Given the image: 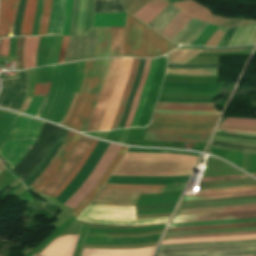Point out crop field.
Listing matches in <instances>:
<instances>
[{
    "mask_svg": "<svg viewBox=\"0 0 256 256\" xmlns=\"http://www.w3.org/2000/svg\"><path fill=\"white\" fill-rule=\"evenodd\" d=\"M108 64L109 59L85 61V76L81 91L76 94L63 126L84 132L96 105Z\"/></svg>",
    "mask_w": 256,
    "mask_h": 256,
    "instance_id": "obj_3",
    "label": "crop field"
},
{
    "mask_svg": "<svg viewBox=\"0 0 256 256\" xmlns=\"http://www.w3.org/2000/svg\"><path fill=\"white\" fill-rule=\"evenodd\" d=\"M173 4L177 6L179 9H181L184 13L196 19H199L211 24H215V25H219L227 28H236L241 22V19H225V18L213 16L211 15L209 10H207L203 6L191 0H186L183 2H177Z\"/></svg>",
    "mask_w": 256,
    "mask_h": 256,
    "instance_id": "obj_17",
    "label": "crop field"
},
{
    "mask_svg": "<svg viewBox=\"0 0 256 256\" xmlns=\"http://www.w3.org/2000/svg\"><path fill=\"white\" fill-rule=\"evenodd\" d=\"M105 187L122 188V189H163L165 188V186H153V185H113V184H106Z\"/></svg>",
    "mask_w": 256,
    "mask_h": 256,
    "instance_id": "obj_52",
    "label": "crop field"
},
{
    "mask_svg": "<svg viewBox=\"0 0 256 256\" xmlns=\"http://www.w3.org/2000/svg\"><path fill=\"white\" fill-rule=\"evenodd\" d=\"M219 128L256 133V128H250V127L220 125Z\"/></svg>",
    "mask_w": 256,
    "mask_h": 256,
    "instance_id": "obj_62",
    "label": "crop field"
},
{
    "mask_svg": "<svg viewBox=\"0 0 256 256\" xmlns=\"http://www.w3.org/2000/svg\"><path fill=\"white\" fill-rule=\"evenodd\" d=\"M156 61H157V59H152V61H151V66H150L149 75H148V78H147V80H146L144 89H143V91H142V94H141V97H140V101H139V105H138V108H137V111H136V115H135V118H134V120H133V123H132V126H131V127H136V126H137L140 113H141L142 108H143V105H144V103H145L146 92H147L148 87H149V85H150V83H151V81H152L154 69H155V66H156Z\"/></svg>",
    "mask_w": 256,
    "mask_h": 256,
    "instance_id": "obj_39",
    "label": "crop field"
},
{
    "mask_svg": "<svg viewBox=\"0 0 256 256\" xmlns=\"http://www.w3.org/2000/svg\"><path fill=\"white\" fill-rule=\"evenodd\" d=\"M133 58H122V65L119 73V77L115 88L113 90L110 102L107 107V111L101 123L99 131L110 130L112 122L115 118L116 111L121 102L122 93L130 74Z\"/></svg>",
    "mask_w": 256,
    "mask_h": 256,
    "instance_id": "obj_14",
    "label": "crop field"
},
{
    "mask_svg": "<svg viewBox=\"0 0 256 256\" xmlns=\"http://www.w3.org/2000/svg\"><path fill=\"white\" fill-rule=\"evenodd\" d=\"M75 136H76V133L70 132V131L68 132L67 137L65 139V142L62 145V147L60 148L59 152L53 158V160L51 161L49 166L46 168V170L40 175V177L37 180H35L29 186L28 190L32 189V190L35 191L39 187V185L48 177V175L53 171V169L55 168V166L57 165V163L59 162V160L61 159V157L63 156V154L65 153V151L67 150V148L69 147L70 143L72 142V140L74 139ZM80 138H81V135L77 134V136L73 140L72 144L70 145V147L68 148V150L66 151V153L64 154V156L62 157V159L60 160L58 165L56 166V168L54 169V171L49 175V177L35 191L36 193H38L40 195V193H42L44 188L56 176L57 172L60 170V168L66 162V160L69 158L70 154L74 151V149H75L78 141L80 140Z\"/></svg>",
    "mask_w": 256,
    "mask_h": 256,
    "instance_id": "obj_13",
    "label": "crop field"
},
{
    "mask_svg": "<svg viewBox=\"0 0 256 256\" xmlns=\"http://www.w3.org/2000/svg\"><path fill=\"white\" fill-rule=\"evenodd\" d=\"M91 141H92V138L82 136L72 156L69 158L67 163L62 167V169L54 178V180L45 188L42 194L52 196L56 192V190L68 178L70 173L76 167L77 163L83 157Z\"/></svg>",
    "mask_w": 256,
    "mask_h": 256,
    "instance_id": "obj_18",
    "label": "crop field"
},
{
    "mask_svg": "<svg viewBox=\"0 0 256 256\" xmlns=\"http://www.w3.org/2000/svg\"><path fill=\"white\" fill-rule=\"evenodd\" d=\"M33 256H39V255L34 254Z\"/></svg>",
    "mask_w": 256,
    "mask_h": 256,
    "instance_id": "obj_74",
    "label": "crop field"
},
{
    "mask_svg": "<svg viewBox=\"0 0 256 256\" xmlns=\"http://www.w3.org/2000/svg\"><path fill=\"white\" fill-rule=\"evenodd\" d=\"M248 197H256V196H248ZM248 197H238V198H248ZM238 198H227V199H238ZM217 200H226V199H217ZM205 201H214V200H205ZM191 202H202V201H189V202H181V203H191Z\"/></svg>",
    "mask_w": 256,
    "mask_h": 256,
    "instance_id": "obj_70",
    "label": "crop field"
},
{
    "mask_svg": "<svg viewBox=\"0 0 256 256\" xmlns=\"http://www.w3.org/2000/svg\"><path fill=\"white\" fill-rule=\"evenodd\" d=\"M42 8H43V0H38L37 12H36V16H35V22H34V28H33L32 36L37 35L38 32H39V25H40V21H41Z\"/></svg>",
    "mask_w": 256,
    "mask_h": 256,
    "instance_id": "obj_54",
    "label": "crop field"
},
{
    "mask_svg": "<svg viewBox=\"0 0 256 256\" xmlns=\"http://www.w3.org/2000/svg\"><path fill=\"white\" fill-rule=\"evenodd\" d=\"M179 11V9H177L175 6L171 4L162 14H160L148 26H150L151 28L160 33L171 22V20L177 15Z\"/></svg>",
    "mask_w": 256,
    "mask_h": 256,
    "instance_id": "obj_34",
    "label": "crop field"
},
{
    "mask_svg": "<svg viewBox=\"0 0 256 256\" xmlns=\"http://www.w3.org/2000/svg\"><path fill=\"white\" fill-rule=\"evenodd\" d=\"M170 217L135 220V207H111L91 205L77 217V220L110 225H144L167 223Z\"/></svg>",
    "mask_w": 256,
    "mask_h": 256,
    "instance_id": "obj_8",
    "label": "crop field"
},
{
    "mask_svg": "<svg viewBox=\"0 0 256 256\" xmlns=\"http://www.w3.org/2000/svg\"><path fill=\"white\" fill-rule=\"evenodd\" d=\"M256 240L248 241H227V242H207L194 244H173L161 246L160 249L172 247H188V246H208L223 244H242L254 243ZM256 255V243L243 245H223L209 247H189V248H172L159 251L158 256H248Z\"/></svg>",
    "mask_w": 256,
    "mask_h": 256,
    "instance_id": "obj_6",
    "label": "crop field"
},
{
    "mask_svg": "<svg viewBox=\"0 0 256 256\" xmlns=\"http://www.w3.org/2000/svg\"><path fill=\"white\" fill-rule=\"evenodd\" d=\"M207 25V23L192 18L186 27L172 40V42L177 45H190V43L205 29Z\"/></svg>",
    "mask_w": 256,
    "mask_h": 256,
    "instance_id": "obj_23",
    "label": "crop field"
},
{
    "mask_svg": "<svg viewBox=\"0 0 256 256\" xmlns=\"http://www.w3.org/2000/svg\"><path fill=\"white\" fill-rule=\"evenodd\" d=\"M236 29H228L224 37L221 39L217 47H227L231 37L233 36Z\"/></svg>",
    "mask_w": 256,
    "mask_h": 256,
    "instance_id": "obj_61",
    "label": "crop field"
},
{
    "mask_svg": "<svg viewBox=\"0 0 256 256\" xmlns=\"http://www.w3.org/2000/svg\"><path fill=\"white\" fill-rule=\"evenodd\" d=\"M162 193V190H114L102 188L91 204L135 206L140 194Z\"/></svg>",
    "mask_w": 256,
    "mask_h": 256,
    "instance_id": "obj_15",
    "label": "crop field"
},
{
    "mask_svg": "<svg viewBox=\"0 0 256 256\" xmlns=\"http://www.w3.org/2000/svg\"><path fill=\"white\" fill-rule=\"evenodd\" d=\"M190 19L191 17L181 11L174 21L161 33V35L171 41L185 27Z\"/></svg>",
    "mask_w": 256,
    "mask_h": 256,
    "instance_id": "obj_36",
    "label": "crop field"
},
{
    "mask_svg": "<svg viewBox=\"0 0 256 256\" xmlns=\"http://www.w3.org/2000/svg\"><path fill=\"white\" fill-rule=\"evenodd\" d=\"M166 57L163 56L158 59L153 81L147 93L146 103L141 114L138 127H145L148 125L152 111L154 109L159 88L162 84L163 76L165 73Z\"/></svg>",
    "mask_w": 256,
    "mask_h": 256,
    "instance_id": "obj_19",
    "label": "crop field"
},
{
    "mask_svg": "<svg viewBox=\"0 0 256 256\" xmlns=\"http://www.w3.org/2000/svg\"><path fill=\"white\" fill-rule=\"evenodd\" d=\"M254 217H256V211L214 213V214H198V215H187V216L175 217L172 224L188 223V222H199V221H214V220L254 218Z\"/></svg>",
    "mask_w": 256,
    "mask_h": 256,
    "instance_id": "obj_20",
    "label": "crop field"
},
{
    "mask_svg": "<svg viewBox=\"0 0 256 256\" xmlns=\"http://www.w3.org/2000/svg\"><path fill=\"white\" fill-rule=\"evenodd\" d=\"M40 37H26L24 48V69L36 67L35 53Z\"/></svg>",
    "mask_w": 256,
    "mask_h": 256,
    "instance_id": "obj_33",
    "label": "crop field"
},
{
    "mask_svg": "<svg viewBox=\"0 0 256 256\" xmlns=\"http://www.w3.org/2000/svg\"><path fill=\"white\" fill-rule=\"evenodd\" d=\"M250 234H256V231H252V232H237V233H224V234H209V235L177 236V237H167V238H164V240H170V239H182V238H196V237H214V236L250 235Z\"/></svg>",
    "mask_w": 256,
    "mask_h": 256,
    "instance_id": "obj_49",
    "label": "crop field"
},
{
    "mask_svg": "<svg viewBox=\"0 0 256 256\" xmlns=\"http://www.w3.org/2000/svg\"><path fill=\"white\" fill-rule=\"evenodd\" d=\"M95 41L96 28L84 37H70L64 62L94 58Z\"/></svg>",
    "mask_w": 256,
    "mask_h": 256,
    "instance_id": "obj_16",
    "label": "crop field"
},
{
    "mask_svg": "<svg viewBox=\"0 0 256 256\" xmlns=\"http://www.w3.org/2000/svg\"><path fill=\"white\" fill-rule=\"evenodd\" d=\"M169 4L168 0H152L133 15L148 24Z\"/></svg>",
    "mask_w": 256,
    "mask_h": 256,
    "instance_id": "obj_28",
    "label": "crop field"
},
{
    "mask_svg": "<svg viewBox=\"0 0 256 256\" xmlns=\"http://www.w3.org/2000/svg\"><path fill=\"white\" fill-rule=\"evenodd\" d=\"M153 249L154 247L133 250L85 249L83 256H149Z\"/></svg>",
    "mask_w": 256,
    "mask_h": 256,
    "instance_id": "obj_27",
    "label": "crop field"
},
{
    "mask_svg": "<svg viewBox=\"0 0 256 256\" xmlns=\"http://www.w3.org/2000/svg\"><path fill=\"white\" fill-rule=\"evenodd\" d=\"M65 14V0H53L47 35H61Z\"/></svg>",
    "mask_w": 256,
    "mask_h": 256,
    "instance_id": "obj_24",
    "label": "crop field"
},
{
    "mask_svg": "<svg viewBox=\"0 0 256 256\" xmlns=\"http://www.w3.org/2000/svg\"><path fill=\"white\" fill-rule=\"evenodd\" d=\"M4 170H6L5 168H3L2 167V165L0 166V173L2 172V171H4ZM3 173V172H2Z\"/></svg>",
    "mask_w": 256,
    "mask_h": 256,
    "instance_id": "obj_71",
    "label": "crop field"
},
{
    "mask_svg": "<svg viewBox=\"0 0 256 256\" xmlns=\"http://www.w3.org/2000/svg\"><path fill=\"white\" fill-rule=\"evenodd\" d=\"M173 50V44L136 18L127 14L123 56L158 57Z\"/></svg>",
    "mask_w": 256,
    "mask_h": 256,
    "instance_id": "obj_5",
    "label": "crop field"
},
{
    "mask_svg": "<svg viewBox=\"0 0 256 256\" xmlns=\"http://www.w3.org/2000/svg\"><path fill=\"white\" fill-rule=\"evenodd\" d=\"M79 5H80V0H74L73 10H72V18H71V28H70V35H72V36H76V34H77Z\"/></svg>",
    "mask_w": 256,
    "mask_h": 256,
    "instance_id": "obj_48",
    "label": "crop field"
},
{
    "mask_svg": "<svg viewBox=\"0 0 256 256\" xmlns=\"http://www.w3.org/2000/svg\"><path fill=\"white\" fill-rule=\"evenodd\" d=\"M121 146L109 144L104 155L99 160L98 164L91 172L90 176L85 180V182L80 186L78 191L63 205L70 207L75 210V208L81 203V201L89 194V192L94 188L97 182L100 180L102 175L105 173L110 163L116 157Z\"/></svg>",
    "mask_w": 256,
    "mask_h": 256,
    "instance_id": "obj_10",
    "label": "crop field"
},
{
    "mask_svg": "<svg viewBox=\"0 0 256 256\" xmlns=\"http://www.w3.org/2000/svg\"><path fill=\"white\" fill-rule=\"evenodd\" d=\"M126 149H127V147L122 146L119 154L114 159V161L111 163V165L108 168V170L105 173V175L101 178V180L98 182V184L95 186V188L90 192V194L77 207V209L71 213V216L76 218L84 210V208L89 204V202L93 199V197L96 195V193L102 187V185L107 181L108 177L111 175L112 171L114 170L116 165L119 163V161L122 158V156L125 154Z\"/></svg>",
    "mask_w": 256,
    "mask_h": 256,
    "instance_id": "obj_25",
    "label": "crop field"
},
{
    "mask_svg": "<svg viewBox=\"0 0 256 256\" xmlns=\"http://www.w3.org/2000/svg\"><path fill=\"white\" fill-rule=\"evenodd\" d=\"M31 99H32V97H27L26 98V101H25L24 105L21 107L20 112L24 113L26 111Z\"/></svg>",
    "mask_w": 256,
    "mask_h": 256,
    "instance_id": "obj_69",
    "label": "crop field"
},
{
    "mask_svg": "<svg viewBox=\"0 0 256 256\" xmlns=\"http://www.w3.org/2000/svg\"><path fill=\"white\" fill-rule=\"evenodd\" d=\"M9 38L4 39L1 54L2 56H8Z\"/></svg>",
    "mask_w": 256,
    "mask_h": 256,
    "instance_id": "obj_67",
    "label": "crop field"
},
{
    "mask_svg": "<svg viewBox=\"0 0 256 256\" xmlns=\"http://www.w3.org/2000/svg\"><path fill=\"white\" fill-rule=\"evenodd\" d=\"M155 112L167 113V114H194V115H220L221 114V112H209V111L190 112V111L155 110Z\"/></svg>",
    "mask_w": 256,
    "mask_h": 256,
    "instance_id": "obj_55",
    "label": "crop field"
},
{
    "mask_svg": "<svg viewBox=\"0 0 256 256\" xmlns=\"http://www.w3.org/2000/svg\"><path fill=\"white\" fill-rule=\"evenodd\" d=\"M197 156L127 152L113 175H190Z\"/></svg>",
    "mask_w": 256,
    "mask_h": 256,
    "instance_id": "obj_2",
    "label": "crop field"
},
{
    "mask_svg": "<svg viewBox=\"0 0 256 256\" xmlns=\"http://www.w3.org/2000/svg\"><path fill=\"white\" fill-rule=\"evenodd\" d=\"M246 230H256V228H244V229H226V230H209V231H191V232H178L166 234V236L173 235H186V234H204V233H221V232H234V231H246Z\"/></svg>",
    "mask_w": 256,
    "mask_h": 256,
    "instance_id": "obj_50",
    "label": "crop field"
},
{
    "mask_svg": "<svg viewBox=\"0 0 256 256\" xmlns=\"http://www.w3.org/2000/svg\"><path fill=\"white\" fill-rule=\"evenodd\" d=\"M156 109L190 110V111H200V110L216 111L213 104H187V103H166V102H158Z\"/></svg>",
    "mask_w": 256,
    "mask_h": 256,
    "instance_id": "obj_32",
    "label": "crop field"
},
{
    "mask_svg": "<svg viewBox=\"0 0 256 256\" xmlns=\"http://www.w3.org/2000/svg\"><path fill=\"white\" fill-rule=\"evenodd\" d=\"M255 238L256 236H234V237H216V238L187 239V240H171V241H163L161 245L172 244V243H188V242L245 240V239H255Z\"/></svg>",
    "mask_w": 256,
    "mask_h": 256,
    "instance_id": "obj_43",
    "label": "crop field"
},
{
    "mask_svg": "<svg viewBox=\"0 0 256 256\" xmlns=\"http://www.w3.org/2000/svg\"><path fill=\"white\" fill-rule=\"evenodd\" d=\"M52 0H44V10L39 35H46Z\"/></svg>",
    "mask_w": 256,
    "mask_h": 256,
    "instance_id": "obj_47",
    "label": "crop field"
},
{
    "mask_svg": "<svg viewBox=\"0 0 256 256\" xmlns=\"http://www.w3.org/2000/svg\"><path fill=\"white\" fill-rule=\"evenodd\" d=\"M2 41H3V39L1 40V44H0V51H1V47H2Z\"/></svg>",
    "mask_w": 256,
    "mask_h": 256,
    "instance_id": "obj_72",
    "label": "crop field"
},
{
    "mask_svg": "<svg viewBox=\"0 0 256 256\" xmlns=\"http://www.w3.org/2000/svg\"><path fill=\"white\" fill-rule=\"evenodd\" d=\"M256 41V23L240 27L236 30L228 47L250 45Z\"/></svg>",
    "mask_w": 256,
    "mask_h": 256,
    "instance_id": "obj_29",
    "label": "crop field"
},
{
    "mask_svg": "<svg viewBox=\"0 0 256 256\" xmlns=\"http://www.w3.org/2000/svg\"><path fill=\"white\" fill-rule=\"evenodd\" d=\"M86 5H87V0H81L79 23H78V35L77 36H83V33H84Z\"/></svg>",
    "mask_w": 256,
    "mask_h": 256,
    "instance_id": "obj_53",
    "label": "crop field"
},
{
    "mask_svg": "<svg viewBox=\"0 0 256 256\" xmlns=\"http://www.w3.org/2000/svg\"><path fill=\"white\" fill-rule=\"evenodd\" d=\"M121 65V58H112L110 59V64L108 72L105 78L104 86L101 91V94L98 98L97 106L91 117V121L86 129V131H97L101 120L104 116L107 103L110 99L113 87L118 77L119 69Z\"/></svg>",
    "mask_w": 256,
    "mask_h": 256,
    "instance_id": "obj_11",
    "label": "crop field"
},
{
    "mask_svg": "<svg viewBox=\"0 0 256 256\" xmlns=\"http://www.w3.org/2000/svg\"><path fill=\"white\" fill-rule=\"evenodd\" d=\"M245 47H252V46H244ZM181 48H198V47H181ZM212 49V48H208ZM208 49H198L200 52H235V51H247L252 50V48L246 49H229V50H208ZM228 49V48H224ZM197 49H178L170 54H168V64H184L189 61L191 58L196 56L198 53Z\"/></svg>",
    "mask_w": 256,
    "mask_h": 256,
    "instance_id": "obj_22",
    "label": "crop field"
},
{
    "mask_svg": "<svg viewBox=\"0 0 256 256\" xmlns=\"http://www.w3.org/2000/svg\"><path fill=\"white\" fill-rule=\"evenodd\" d=\"M78 238L74 235L57 238L40 254L43 256H72Z\"/></svg>",
    "mask_w": 256,
    "mask_h": 256,
    "instance_id": "obj_21",
    "label": "crop field"
},
{
    "mask_svg": "<svg viewBox=\"0 0 256 256\" xmlns=\"http://www.w3.org/2000/svg\"><path fill=\"white\" fill-rule=\"evenodd\" d=\"M248 226H256V223L231 224V225H215V226H200V227H189V228H174V229H168L167 232L190 231V230H204V229H219V228H233V227H248Z\"/></svg>",
    "mask_w": 256,
    "mask_h": 256,
    "instance_id": "obj_45",
    "label": "crop field"
},
{
    "mask_svg": "<svg viewBox=\"0 0 256 256\" xmlns=\"http://www.w3.org/2000/svg\"><path fill=\"white\" fill-rule=\"evenodd\" d=\"M1 165V164H0Z\"/></svg>",
    "mask_w": 256,
    "mask_h": 256,
    "instance_id": "obj_76",
    "label": "crop field"
},
{
    "mask_svg": "<svg viewBox=\"0 0 256 256\" xmlns=\"http://www.w3.org/2000/svg\"><path fill=\"white\" fill-rule=\"evenodd\" d=\"M226 31H227L226 28L220 27L217 30V32L213 35V37L207 42V44L205 46L216 47V45L218 44L220 39L223 37V35L225 34Z\"/></svg>",
    "mask_w": 256,
    "mask_h": 256,
    "instance_id": "obj_58",
    "label": "crop field"
},
{
    "mask_svg": "<svg viewBox=\"0 0 256 256\" xmlns=\"http://www.w3.org/2000/svg\"><path fill=\"white\" fill-rule=\"evenodd\" d=\"M221 124L243 125V126L256 127V120H253V119L228 118L224 122H222Z\"/></svg>",
    "mask_w": 256,
    "mask_h": 256,
    "instance_id": "obj_51",
    "label": "crop field"
},
{
    "mask_svg": "<svg viewBox=\"0 0 256 256\" xmlns=\"http://www.w3.org/2000/svg\"><path fill=\"white\" fill-rule=\"evenodd\" d=\"M219 116L167 115L154 113L147 131L212 133Z\"/></svg>",
    "mask_w": 256,
    "mask_h": 256,
    "instance_id": "obj_7",
    "label": "crop field"
},
{
    "mask_svg": "<svg viewBox=\"0 0 256 256\" xmlns=\"http://www.w3.org/2000/svg\"><path fill=\"white\" fill-rule=\"evenodd\" d=\"M252 175L256 176V173H254V174H252Z\"/></svg>",
    "mask_w": 256,
    "mask_h": 256,
    "instance_id": "obj_73",
    "label": "crop field"
},
{
    "mask_svg": "<svg viewBox=\"0 0 256 256\" xmlns=\"http://www.w3.org/2000/svg\"><path fill=\"white\" fill-rule=\"evenodd\" d=\"M245 210H256V204L228 206V207H214V208L184 209V210H178L177 214L176 213L175 214L176 216H178V215L197 214V213L230 212V211H245Z\"/></svg>",
    "mask_w": 256,
    "mask_h": 256,
    "instance_id": "obj_31",
    "label": "crop field"
},
{
    "mask_svg": "<svg viewBox=\"0 0 256 256\" xmlns=\"http://www.w3.org/2000/svg\"><path fill=\"white\" fill-rule=\"evenodd\" d=\"M251 185H256V181L252 178L225 180V181L201 183L200 190L210 189V188H222V187H233V186H251Z\"/></svg>",
    "mask_w": 256,
    "mask_h": 256,
    "instance_id": "obj_35",
    "label": "crop field"
},
{
    "mask_svg": "<svg viewBox=\"0 0 256 256\" xmlns=\"http://www.w3.org/2000/svg\"><path fill=\"white\" fill-rule=\"evenodd\" d=\"M78 62L50 67L52 86L38 117L62 123L77 88Z\"/></svg>",
    "mask_w": 256,
    "mask_h": 256,
    "instance_id": "obj_4",
    "label": "crop field"
},
{
    "mask_svg": "<svg viewBox=\"0 0 256 256\" xmlns=\"http://www.w3.org/2000/svg\"><path fill=\"white\" fill-rule=\"evenodd\" d=\"M150 61H151V59H146L145 68H144V72L142 74L141 82H140V84H139V86L137 88V91H136V94H135V98H134V101H133V105H132V109H131V112H130V114L128 116L127 123H126L124 128L130 127V124H131L132 119L134 117L135 110H136V107H137V104H138V100H139V97H140V94H141V91H142V87H143V84H144V82H145V80L147 78V75H148Z\"/></svg>",
    "mask_w": 256,
    "mask_h": 256,
    "instance_id": "obj_40",
    "label": "crop field"
},
{
    "mask_svg": "<svg viewBox=\"0 0 256 256\" xmlns=\"http://www.w3.org/2000/svg\"><path fill=\"white\" fill-rule=\"evenodd\" d=\"M68 38L69 37H66V36H64V38H63V42H62V46H61V50H60V54H59L58 63H61V62L64 61V54H65Z\"/></svg>",
    "mask_w": 256,
    "mask_h": 256,
    "instance_id": "obj_65",
    "label": "crop field"
},
{
    "mask_svg": "<svg viewBox=\"0 0 256 256\" xmlns=\"http://www.w3.org/2000/svg\"><path fill=\"white\" fill-rule=\"evenodd\" d=\"M166 74L209 76V75H217V69L167 68Z\"/></svg>",
    "mask_w": 256,
    "mask_h": 256,
    "instance_id": "obj_42",
    "label": "crop field"
},
{
    "mask_svg": "<svg viewBox=\"0 0 256 256\" xmlns=\"http://www.w3.org/2000/svg\"><path fill=\"white\" fill-rule=\"evenodd\" d=\"M255 189H256V186H252V187H233V188L203 190V191H199L198 194L215 193V192H228V191H240V190H255Z\"/></svg>",
    "mask_w": 256,
    "mask_h": 256,
    "instance_id": "obj_57",
    "label": "crop field"
},
{
    "mask_svg": "<svg viewBox=\"0 0 256 256\" xmlns=\"http://www.w3.org/2000/svg\"><path fill=\"white\" fill-rule=\"evenodd\" d=\"M209 136L210 134H172L147 132L145 140L206 142Z\"/></svg>",
    "mask_w": 256,
    "mask_h": 256,
    "instance_id": "obj_26",
    "label": "crop field"
},
{
    "mask_svg": "<svg viewBox=\"0 0 256 256\" xmlns=\"http://www.w3.org/2000/svg\"><path fill=\"white\" fill-rule=\"evenodd\" d=\"M247 195H256V190L255 191H240V192L204 194V195H190V196H184L182 201L217 199V198H227V197H237V196H247Z\"/></svg>",
    "mask_w": 256,
    "mask_h": 256,
    "instance_id": "obj_37",
    "label": "crop field"
},
{
    "mask_svg": "<svg viewBox=\"0 0 256 256\" xmlns=\"http://www.w3.org/2000/svg\"><path fill=\"white\" fill-rule=\"evenodd\" d=\"M167 67H181V68H217V64H214V65H168Z\"/></svg>",
    "mask_w": 256,
    "mask_h": 256,
    "instance_id": "obj_64",
    "label": "crop field"
},
{
    "mask_svg": "<svg viewBox=\"0 0 256 256\" xmlns=\"http://www.w3.org/2000/svg\"><path fill=\"white\" fill-rule=\"evenodd\" d=\"M112 28H97L95 58L109 57Z\"/></svg>",
    "mask_w": 256,
    "mask_h": 256,
    "instance_id": "obj_30",
    "label": "crop field"
},
{
    "mask_svg": "<svg viewBox=\"0 0 256 256\" xmlns=\"http://www.w3.org/2000/svg\"><path fill=\"white\" fill-rule=\"evenodd\" d=\"M123 33L124 28H113L112 47L110 57L122 56L123 54Z\"/></svg>",
    "mask_w": 256,
    "mask_h": 256,
    "instance_id": "obj_41",
    "label": "crop field"
},
{
    "mask_svg": "<svg viewBox=\"0 0 256 256\" xmlns=\"http://www.w3.org/2000/svg\"><path fill=\"white\" fill-rule=\"evenodd\" d=\"M98 140H93L92 144L90 145L89 149L87 150L86 154L84 155V157L81 159V161L78 163L77 167L74 169V171L71 173V175L69 176V178L61 185V187L57 190V192L53 195V197H57L62 191L63 189L68 185V183L72 180V178L76 175V173L78 171H80L81 167L83 166V164L85 163V161L87 160L88 156L90 155V153L93 151L95 145L97 144Z\"/></svg>",
    "mask_w": 256,
    "mask_h": 256,
    "instance_id": "obj_44",
    "label": "crop field"
},
{
    "mask_svg": "<svg viewBox=\"0 0 256 256\" xmlns=\"http://www.w3.org/2000/svg\"><path fill=\"white\" fill-rule=\"evenodd\" d=\"M217 132L256 136V134H252V133L236 132V131L221 130V129H218V131H217Z\"/></svg>",
    "mask_w": 256,
    "mask_h": 256,
    "instance_id": "obj_68",
    "label": "crop field"
},
{
    "mask_svg": "<svg viewBox=\"0 0 256 256\" xmlns=\"http://www.w3.org/2000/svg\"><path fill=\"white\" fill-rule=\"evenodd\" d=\"M211 147H212V144H211Z\"/></svg>",
    "mask_w": 256,
    "mask_h": 256,
    "instance_id": "obj_75",
    "label": "crop field"
},
{
    "mask_svg": "<svg viewBox=\"0 0 256 256\" xmlns=\"http://www.w3.org/2000/svg\"><path fill=\"white\" fill-rule=\"evenodd\" d=\"M44 121L0 109V157L14 168L38 139Z\"/></svg>",
    "mask_w": 256,
    "mask_h": 256,
    "instance_id": "obj_1",
    "label": "crop field"
},
{
    "mask_svg": "<svg viewBox=\"0 0 256 256\" xmlns=\"http://www.w3.org/2000/svg\"><path fill=\"white\" fill-rule=\"evenodd\" d=\"M138 61L139 59H134V62H133V65H132V70H131V75L128 79V82H127V85L125 87V90H124V93H123V98H122V102L120 104V107H119V110L117 112V115H116V118L113 122V125H112V128L111 130H114L117 128V125H118V122L122 116V113H123V109H124V106H125V103H126V100H127V97H128V93H129V90L132 86V83H133V80H134V76H135V72H136V68L138 66Z\"/></svg>",
    "mask_w": 256,
    "mask_h": 256,
    "instance_id": "obj_38",
    "label": "crop field"
},
{
    "mask_svg": "<svg viewBox=\"0 0 256 256\" xmlns=\"http://www.w3.org/2000/svg\"><path fill=\"white\" fill-rule=\"evenodd\" d=\"M51 83L36 85L34 96H46Z\"/></svg>",
    "mask_w": 256,
    "mask_h": 256,
    "instance_id": "obj_59",
    "label": "crop field"
},
{
    "mask_svg": "<svg viewBox=\"0 0 256 256\" xmlns=\"http://www.w3.org/2000/svg\"><path fill=\"white\" fill-rule=\"evenodd\" d=\"M246 222H256L255 219H243V220H229V221H214V222H199V223H189V224H177L171 225L173 227H188V226H200V225H215V224H231V223H246Z\"/></svg>",
    "mask_w": 256,
    "mask_h": 256,
    "instance_id": "obj_46",
    "label": "crop field"
},
{
    "mask_svg": "<svg viewBox=\"0 0 256 256\" xmlns=\"http://www.w3.org/2000/svg\"><path fill=\"white\" fill-rule=\"evenodd\" d=\"M19 0H0V38L8 37L16 16ZM37 0H27L21 36H31Z\"/></svg>",
    "mask_w": 256,
    "mask_h": 256,
    "instance_id": "obj_9",
    "label": "crop field"
},
{
    "mask_svg": "<svg viewBox=\"0 0 256 256\" xmlns=\"http://www.w3.org/2000/svg\"><path fill=\"white\" fill-rule=\"evenodd\" d=\"M246 175H235V176H222V177H214V178H206L202 179L201 182L205 181H215V180H225V179H236V178H246Z\"/></svg>",
    "mask_w": 256,
    "mask_h": 256,
    "instance_id": "obj_63",
    "label": "crop field"
},
{
    "mask_svg": "<svg viewBox=\"0 0 256 256\" xmlns=\"http://www.w3.org/2000/svg\"><path fill=\"white\" fill-rule=\"evenodd\" d=\"M62 131H63V128L61 129V131H60V133H59V135H58V137H57L56 142H55L54 145L51 147V149L49 150V152H48V154L46 155V157H45V158L43 159V161L37 166V168H36L33 172H31V173L22 181L23 183H24L41 165H42V163L44 162V160L47 158V156L50 154V152L52 151L53 147H54L55 144L57 143V141H58V139H59V137H60Z\"/></svg>",
    "mask_w": 256,
    "mask_h": 256,
    "instance_id": "obj_66",
    "label": "crop field"
},
{
    "mask_svg": "<svg viewBox=\"0 0 256 256\" xmlns=\"http://www.w3.org/2000/svg\"><path fill=\"white\" fill-rule=\"evenodd\" d=\"M93 7H94V0H89L87 13H86L85 34L87 31H89L92 28Z\"/></svg>",
    "mask_w": 256,
    "mask_h": 256,
    "instance_id": "obj_56",
    "label": "crop field"
},
{
    "mask_svg": "<svg viewBox=\"0 0 256 256\" xmlns=\"http://www.w3.org/2000/svg\"><path fill=\"white\" fill-rule=\"evenodd\" d=\"M3 89L0 94V106L19 111L27 93L28 72H17V78L2 80Z\"/></svg>",
    "mask_w": 256,
    "mask_h": 256,
    "instance_id": "obj_12",
    "label": "crop field"
},
{
    "mask_svg": "<svg viewBox=\"0 0 256 256\" xmlns=\"http://www.w3.org/2000/svg\"><path fill=\"white\" fill-rule=\"evenodd\" d=\"M214 139L223 140V141H230V142H237V143H245V144H255L256 145V140L227 138V137H219V136H215Z\"/></svg>",
    "mask_w": 256,
    "mask_h": 256,
    "instance_id": "obj_60",
    "label": "crop field"
}]
</instances>
